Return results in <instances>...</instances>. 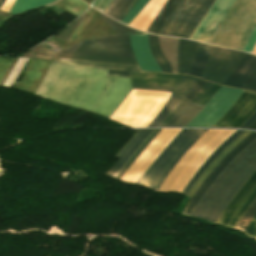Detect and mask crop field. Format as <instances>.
<instances>
[{
  "label": "crop field",
  "mask_w": 256,
  "mask_h": 256,
  "mask_svg": "<svg viewBox=\"0 0 256 256\" xmlns=\"http://www.w3.org/2000/svg\"><path fill=\"white\" fill-rule=\"evenodd\" d=\"M105 72L52 62L35 94L109 118L132 88Z\"/></svg>",
  "instance_id": "1"
},
{
  "label": "crop field",
  "mask_w": 256,
  "mask_h": 256,
  "mask_svg": "<svg viewBox=\"0 0 256 256\" xmlns=\"http://www.w3.org/2000/svg\"><path fill=\"white\" fill-rule=\"evenodd\" d=\"M255 171L256 139L245 147L211 184L191 217L216 224L222 210Z\"/></svg>",
  "instance_id": "2"
},
{
  "label": "crop field",
  "mask_w": 256,
  "mask_h": 256,
  "mask_svg": "<svg viewBox=\"0 0 256 256\" xmlns=\"http://www.w3.org/2000/svg\"><path fill=\"white\" fill-rule=\"evenodd\" d=\"M256 27V0H236L210 44L243 50Z\"/></svg>",
  "instance_id": "3"
},
{
  "label": "crop field",
  "mask_w": 256,
  "mask_h": 256,
  "mask_svg": "<svg viewBox=\"0 0 256 256\" xmlns=\"http://www.w3.org/2000/svg\"><path fill=\"white\" fill-rule=\"evenodd\" d=\"M207 131L182 129L146 170L138 184L157 191L180 158Z\"/></svg>",
  "instance_id": "4"
},
{
  "label": "crop field",
  "mask_w": 256,
  "mask_h": 256,
  "mask_svg": "<svg viewBox=\"0 0 256 256\" xmlns=\"http://www.w3.org/2000/svg\"><path fill=\"white\" fill-rule=\"evenodd\" d=\"M215 0H181L160 35L189 39Z\"/></svg>",
  "instance_id": "5"
},
{
  "label": "crop field",
  "mask_w": 256,
  "mask_h": 256,
  "mask_svg": "<svg viewBox=\"0 0 256 256\" xmlns=\"http://www.w3.org/2000/svg\"><path fill=\"white\" fill-rule=\"evenodd\" d=\"M61 53L111 57H134L130 49L128 35L98 36L86 39Z\"/></svg>",
  "instance_id": "6"
},
{
  "label": "crop field",
  "mask_w": 256,
  "mask_h": 256,
  "mask_svg": "<svg viewBox=\"0 0 256 256\" xmlns=\"http://www.w3.org/2000/svg\"><path fill=\"white\" fill-rule=\"evenodd\" d=\"M242 90L221 87L211 101L187 125L188 127H212L242 94Z\"/></svg>",
  "instance_id": "7"
},
{
  "label": "crop field",
  "mask_w": 256,
  "mask_h": 256,
  "mask_svg": "<svg viewBox=\"0 0 256 256\" xmlns=\"http://www.w3.org/2000/svg\"><path fill=\"white\" fill-rule=\"evenodd\" d=\"M256 198V172L240 188L222 212L218 225L234 229L242 214Z\"/></svg>",
  "instance_id": "8"
},
{
  "label": "crop field",
  "mask_w": 256,
  "mask_h": 256,
  "mask_svg": "<svg viewBox=\"0 0 256 256\" xmlns=\"http://www.w3.org/2000/svg\"><path fill=\"white\" fill-rule=\"evenodd\" d=\"M256 110V94L244 91L213 127L239 128Z\"/></svg>",
  "instance_id": "9"
},
{
  "label": "crop field",
  "mask_w": 256,
  "mask_h": 256,
  "mask_svg": "<svg viewBox=\"0 0 256 256\" xmlns=\"http://www.w3.org/2000/svg\"><path fill=\"white\" fill-rule=\"evenodd\" d=\"M256 138V133L252 132L247 137H245L238 145H236L231 152L223 158L220 163L215 167V169L208 175V177L202 182L198 189L193 194L186 208L182 212L183 215L190 216L195 205L197 204L200 197L209 187V185L214 181V179L221 173V171L228 165V163L252 140Z\"/></svg>",
  "instance_id": "10"
},
{
  "label": "crop field",
  "mask_w": 256,
  "mask_h": 256,
  "mask_svg": "<svg viewBox=\"0 0 256 256\" xmlns=\"http://www.w3.org/2000/svg\"><path fill=\"white\" fill-rule=\"evenodd\" d=\"M155 129H138L129 141L115 155L119 158L116 163L109 169L106 175L116 177L130 157L146 141Z\"/></svg>",
  "instance_id": "11"
},
{
  "label": "crop field",
  "mask_w": 256,
  "mask_h": 256,
  "mask_svg": "<svg viewBox=\"0 0 256 256\" xmlns=\"http://www.w3.org/2000/svg\"><path fill=\"white\" fill-rule=\"evenodd\" d=\"M241 55L242 52L223 48L217 61L211 69L207 80L223 85L230 73L235 68Z\"/></svg>",
  "instance_id": "12"
},
{
  "label": "crop field",
  "mask_w": 256,
  "mask_h": 256,
  "mask_svg": "<svg viewBox=\"0 0 256 256\" xmlns=\"http://www.w3.org/2000/svg\"><path fill=\"white\" fill-rule=\"evenodd\" d=\"M132 50L142 71L161 72L149 50L148 34L129 35Z\"/></svg>",
  "instance_id": "13"
},
{
  "label": "crop field",
  "mask_w": 256,
  "mask_h": 256,
  "mask_svg": "<svg viewBox=\"0 0 256 256\" xmlns=\"http://www.w3.org/2000/svg\"><path fill=\"white\" fill-rule=\"evenodd\" d=\"M206 84L205 81L198 80L185 99L191 101L198 91ZM203 107L189 102L166 126L182 127L185 126Z\"/></svg>",
  "instance_id": "14"
},
{
  "label": "crop field",
  "mask_w": 256,
  "mask_h": 256,
  "mask_svg": "<svg viewBox=\"0 0 256 256\" xmlns=\"http://www.w3.org/2000/svg\"><path fill=\"white\" fill-rule=\"evenodd\" d=\"M256 64V57L243 53L225 86L240 88Z\"/></svg>",
  "instance_id": "15"
},
{
  "label": "crop field",
  "mask_w": 256,
  "mask_h": 256,
  "mask_svg": "<svg viewBox=\"0 0 256 256\" xmlns=\"http://www.w3.org/2000/svg\"><path fill=\"white\" fill-rule=\"evenodd\" d=\"M54 61H58L66 64L78 65V66L108 69L106 75H113V76L128 77V71L139 72L137 66L135 65L103 64V63H93V62H86V61L62 60V59H55Z\"/></svg>",
  "instance_id": "16"
},
{
  "label": "crop field",
  "mask_w": 256,
  "mask_h": 256,
  "mask_svg": "<svg viewBox=\"0 0 256 256\" xmlns=\"http://www.w3.org/2000/svg\"><path fill=\"white\" fill-rule=\"evenodd\" d=\"M166 1L167 0H150L129 26L146 32L150 23L158 14Z\"/></svg>",
  "instance_id": "17"
},
{
  "label": "crop field",
  "mask_w": 256,
  "mask_h": 256,
  "mask_svg": "<svg viewBox=\"0 0 256 256\" xmlns=\"http://www.w3.org/2000/svg\"><path fill=\"white\" fill-rule=\"evenodd\" d=\"M181 76L179 75H162V74H141L130 72L131 83H146L175 86Z\"/></svg>",
  "instance_id": "18"
},
{
  "label": "crop field",
  "mask_w": 256,
  "mask_h": 256,
  "mask_svg": "<svg viewBox=\"0 0 256 256\" xmlns=\"http://www.w3.org/2000/svg\"><path fill=\"white\" fill-rule=\"evenodd\" d=\"M197 44V42L180 39L178 48V74L188 73L190 65L193 61L194 51L196 49Z\"/></svg>",
  "instance_id": "19"
},
{
  "label": "crop field",
  "mask_w": 256,
  "mask_h": 256,
  "mask_svg": "<svg viewBox=\"0 0 256 256\" xmlns=\"http://www.w3.org/2000/svg\"><path fill=\"white\" fill-rule=\"evenodd\" d=\"M244 131H236L233 135H231L217 150H215L211 156L208 158V160L200 167V169L197 171V173L194 175L192 180L189 182V184L186 186V188L183 190L182 194L187 195L191 188L194 186V184L198 181V179L201 177V175L205 172V170L209 167V165L212 163V161L218 157L222 151L229 146L235 139H237Z\"/></svg>",
  "instance_id": "20"
},
{
  "label": "crop field",
  "mask_w": 256,
  "mask_h": 256,
  "mask_svg": "<svg viewBox=\"0 0 256 256\" xmlns=\"http://www.w3.org/2000/svg\"><path fill=\"white\" fill-rule=\"evenodd\" d=\"M214 47L199 43L195 51L194 62L188 74L200 76Z\"/></svg>",
  "instance_id": "21"
},
{
  "label": "crop field",
  "mask_w": 256,
  "mask_h": 256,
  "mask_svg": "<svg viewBox=\"0 0 256 256\" xmlns=\"http://www.w3.org/2000/svg\"><path fill=\"white\" fill-rule=\"evenodd\" d=\"M138 0H113L104 14L118 20L122 18L133 8Z\"/></svg>",
  "instance_id": "22"
},
{
  "label": "crop field",
  "mask_w": 256,
  "mask_h": 256,
  "mask_svg": "<svg viewBox=\"0 0 256 256\" xmlns=\"http://www.w3.org/2000/svg\"><path fill=\"white\" fill-rule=\"evenodd\" d=\"M179 1L180 0H168L147 32L152 34H159L163 25L174 11Z\"/></svg>",
  "instance_id": "23"
},
{
  "label": "crop field",
  "mask_w": 256,
  "mask_h": 256,
  "mask_svg": "<svg viewBox=\"0 0 256 256\" xmlns=\"http://www.w3.org/2000/svg\"><path fill=\"white\" fill-rule=\"evenodd\" d=\"M55 58L86 60V61H94V62H108V63H126V64L137 65L134 58H110V57H93V56H83V55H62V54H57Z\"/></svg>",
  "instance_id": "24"
},
{
  "label": "crop field",
  "mask_w": 256,
  "mask_h": 256,
  "mask_svg": "<svg viewBox=\"0 0 256 256\" xmlns=\"http://www.w3.org/2000/svg\"><path fill=\"white\" fill-rule=\"evenodd\" d=\"M149 43H150L151 53L154 56L155 60L157 61L162 72L172 73L171 67H170L168 61L163 56V54L160 50L157 36L149 34Z\"/></svg>",
  "instance_id": "25"
},
{
  "label": "crop field",
  "mask_w": 256,
  "mask_h": 256,
  "mask_svg": "<svg viewBox=\"0 0 256 256\" xmlns=\"http://www.w3.org/2000/svg\"><path fill=\"white\" fill-rule=\"evenodd\" d=\"M181 100L182 98L170 95L169 99L167 100L161 111L157 114V116L150 122V124L147 127H158Z\"/></svg>",
  "instance_id": "26"
},
{
  "label": "crop field",
  "mask_w": 256,
  "mask_h": 256,
  "mask_svg": "<svg viewBox=\"0 0 256 256\" xmlns=\"http://www.w3.org/2000/svg\"><path fill=\"white\" fill-rule=\"evenodd\" d=\"M54 0H15L14 4L9 10V13H19L37 6L50 3Z\"/></svg>",
  "instance_id": "27"
},
{
  "label": "crop field",
  "mask_w": 256,
  "mask_h": 256,
  "mask_svg": "<svg viewBox=\"0 0 256 256\" xmlns=\"http://www.w3.org/2000/svg\"><path fill=\"white\" fill-rule=\"evenodd\" d=\"M250 132L245 131L236 141H234L228 148L224 150V152L212 163V165L206 170V172L202 175V177L199 179V181L195 184V186L192 188L190 193L188 194L190 197L194 193V191L197 189V187L201 184V182L207 177V175L214 169V167L219 163V161L226 156L229 151L238 143L240 142L246 135H248ZM239 144V143H238ZM237 144V145H238Z\"/></svg>",
  "instance_id": "28"
},
{
  "label": "crop field",
  "mask_w": 256,
  "mask_h": 256,
  "mask_svg": "<svg viewBox=\"0 0 256 256\" xmlns=\"http://www.w3.org/2000/svg\"><path fill=\"white\" fill-rule=\"evenodd\" d=\"M196 81L197 78L184 75L181 81L175 87L172 94L184 98L185 95L189 92V90L194 86Z\"/></svg>",
  "instance_id": "29"
},
{
  "label": "crop field",
  "mask_w": 256,
  "mask_h": 256,
  "mask_svg": "<svg viewBox=\"0 0 256 256\" xmlns=\"http://www.w3.org/2000/svg\"><path fill=\"white\" fill-rule=\"evenodd\" d=\"M54 55H55V52H52V51L47 50L41 46H38V47L34 48L33 50L25 53L22 57L39 58V59L53 61Z\"/></svg>",
  "instance_id": "30"
},
{
  "label": "crop field",
  "mask_w": 256,
  "mask_h": 256,
  "mask_svg": "<svg viewBox=\"0 0 256 256\" xmlns=\"http://www.w3.org/2000/svg\"><path fill=\"white\" fill-rule=\"evenodd\" d=\"M99 14L103 18V20L106 22V24L108 26H110L112 29H114L116 32H118L119 34H141V33H143V32H139L134 29H131L129 27H126V26L104 16L101 13H99Z\"/></svg>",
  "instance_id": "31"
},
{
  "label": "crop field",
  "mask_w": 256,
  "mask_h": 256,
  "mask_svg": "<svg viewBox=\"0 0 256 256\" xmlns=\"http://www.w3.org/2000/svg\"><path fill=\"white\" fill-rule=\"evenodd\" d=\"M256 213V200L251 204V206L247 209L243 217L240 219L239 223L235 227L237 230H241L244 232L247 227L250 219Z\"/></svg>",
  "instance_id": "32"
},
{
  "label": "crop field",
  "mask_w": 256,
  "mask_h": 256,
  "mask_svg": "<svg viewBox=\"0 0 256 256\" xmlns=\"http://www.w3.org/2000/svg\"><path fill=\"white\" fill-rule=\"evenodd\" d=\"M161 129H156L155 132L147 139V141L138 149V151L131 157V159L128 161V163L125 165V167L122 169V171L117 176L118 179H121L123 174L126 172V170L130 167V165L135 161V159L139 156V154L142 152V150L146 147V145L159 133Z\"/></svg>",
  "instance_id": "33"
},
{
  "label": "crop field",
  "mask_w": 256,
  "mask_h": 256,
  "mask_svg": "<svg viewBox=\"0 0 256 256\" xmlns=\"http://www.w3.org/2000/svg\"><path fill=\"white\" fill-rule=\"evenodd\" d=\"M148 1L149 0H139L137 4L134 6V8L122 20V22L129 24L131 20L139 13V11L147 4Z\"/></svg>",
  "instance_id": "34"
},
{
  "label": "crop field",
  "mask_w": 256,
  "mask_h": 256,
  "mask_svg": "<svg viewBox=\"0 0 256 256\" xmlns=\"http://www.w3.org/2000/svg\"><path fill=\"white\" fill-rule=\"evenodd\" d=\"M84 16V15H83ZM83 16H81L79 19H77L74 23H72L68 28H66L64 31H62L60 34L56 36V38H59L61 40L67 41L69 38L70 33L79 25V23L82 21Z\"/></svg>",
  "instance_id": "35"
},
{
  "label": "crop field",
  "mask_w": 256,
  "mask_h": 256,
  "mask_svg": "<svg viewBox=\"0 0 256 256\" xmlns=\"http://www.w3.org/2000/svg\"><path fill=\"white\" fill-rule=\"evenodd\" d=\"M241 88L256 91V66Z\"/></svg>",
  "instance_id": "36"
},
{
  "label": "crop field",
  "mask_w": 256,
  "mask_h": 256,
  "mask_svg": "<svg viewBox=\"0 0 256 256\" xmlns=\"http://www.w3.org/2000/svg\"><path fill=\"white\" fill-rule=\"evenodd\" d=\"M133 89H146V90H163L172 91V87L156 86V85H146V84H131Z\"/></svg>",
  "instance_id": "37"
},
{
  "label": "crop field",
  "mask_w": 256,
  "mask_h": 256,
  "mask_svg": "<svg viewBox=\"0 0 256 256\" xmlns=\"http://www.w3.org/2000/svg\"><path fill=\"white\" fill-rule=\"evenodd\" d=\"M220 50H221V48H218V47L214 48V50L212 52V55H211L207 65H206L202 75H201V78H204V79L206 78V76H207V74H208V72H209L213 62L215 61L217 55L219 54Z\"/></svg>",
  "instance_id": "38"
},
{
  "label": "crop field",
  "mask_w": 256,
  "mask_h": 256,
  "mask_svg": "<svg viewBox=\"0 0 256 256\" xmlns=\"http://www.w3.org/2000/svg\"><path fill=\"white\" fill-rule=\"evenodd\" d=\"M244 234L256 240V214L252 218Z\"/></svg>",
  "instance_id": "39"
},
{
  "label": "crop field",
  "mask_w": 256,
  "mask_h": 256,
  "mask_svg": "<svg viewBox=\"0 0 256 256\" xmlns=\"http://www.w3.org/2000/svg\"><path fill=\"white\" fill-rule=\"evenodd\" d=\"M220 88V86L214 85L209 92L202 98V100L199 102V104L205 106L210 99L213 97V95L216 93V91Z\"/></svg>",
  "instance_id": "40"
},
{
  "label": "crop field",
  "mask_w": 256,
  "mask_h": 256,
  "mask_svg": "<svg viewBox=\"0 0 256 256\" xmlns=\"http://www.w3.org/2000/svg\"><path fill=\"white\" fill-rule=\"evenodd\" d=\"M188 101L182 100L179 105L172 111V113L163 121V123L159 126H165L178 112L179 110L187 103Z\"/></svg>",
  "instance_id": "41"
},
{
  "label": "crop field",
  "mask_w": 256,
  "mask_h": 256,
  "mask_svg": "<svg viewBox=\"0 0 256 256\" xmlns=\"http://www.w3.org/2000/svg\"><path fill=\"white\" fill-rule=\"evenodd\" d=\"M255 43H256V29H255L254 33L252 34V36H251L249 42L247 43V45H246L244 51L251 53V51H252V49H253ZM242 51H243V50H242Z\"/></svg>",
  "instance_id": "42"
},
{
  "label": "crop field",
  "mask_w": 256,
  "mask_h": 256,
  "mask_svg": "<svg viewBox=\"0 0 256 256\" xmlns=\"http://www.w3.org/2000/svg\"><path fill=\"white\" fill-rule=\"evenodd\" d=\"M213 86V84L207 83L204 88L199 92V94L194 98L192 102L198 103L199 100L204 96V94Z\"/></svg>",
  "instance_id": "43"
},
{
  "label": "crop field",
  "mask_w": 256,
  "mask_h": 256,
  "mask_svg": "<svg viewBox=\"0 0 256 256\" xmlns=\"http://www.w3.org/2000/svg\"><path fill=\"white\" fill-rule=\"evenodd\" d=\"M111 1L112 0H101L95 8L103 13L107 6L111 3Z\"/></svg>",
  "instance_id": "44"
},
{
  "label": "crop field",
  "mask_w": 256,
  "mask_h": 256,
  "mask_svg": "<svg viewBox=\"0 0 256 256\" xmlns=\"http://www.w3.org/2000/svg\"><path fill=\"white\" fill-rule=\"evenodd\" d=\"M255 120H256V112L240 128L248 129Z\"/></svg>",
  "instance_id": "45"
},
{
  "label": "crop field",
  "mask_w": 256,
  "mask_h": 256,
  "mask_svg": "<svg viewBox=\"0 0 256 256\" xmlns=\"http://www.w3.org/2000/svg\"><path fill=\"white\" fill-rule=\"evenodd\" d=\"M19 58H15L13 63L11 64L10 68L8 69L6 75L4 76L3 80L1 81L0 85L3 86L4 82L6 81L7 77L9 76L10 72L14 68L15 64L17 63Z\"/></svg>",
  "instance_id": "46"
},
{
  "label": "crop field",
  "mask_w": 256,
  "mask_h": 256,
  "mask_svg": "<svg viewBox=\"0 0 256 256\" xmlns=\"http://www.w3.org/2000/svg\"><path fill=\"white\" fill-rule=\"evenodd\" d=\"M14 15L5 13L0 11V20L6 22L9 18L13 17Z\"/></svg>",
  "instance_id": "47"
},
{
  "label": "crop field",
  "mask_w": 256,
  "mask_h": 256,
  "mask_svg": "<svg viewBox=\"0 0 256 256\" xmlns=\"http://www.w3.org/2000/svg\"><path fill=\"white\" fill-rule=\"evenodd\" d=\"M249 129H255L256 130V121L253 123V125Z\"/></svg>",
  "instance_id": "48"
},
{
  "label": "crop field",
  "mask_w": 256,
  "mask_h": 256,
  "mask_svg": "<svg viewBox=\"0 0 256 256\" xmlns=\"http://www.w3.org/2000/svg\"><path fill=\"white\" fill-rule=\"evenodd\" d=\"M100 0H95L94 4H93V7L96 6V4L99 2Z\"/></svg>",
  "instance_id": "49"
},
{
  "label": "crop field",
  "mask_w": 256,
  "mask_h": 256,
  "mask_svg": "<svg viewBox=\"0 0 256 256\" xmlns=\"http://www.w3.org/2000/svg\"><path fill=\"white\" fill-rule=\"evenodd\" d=\"M86 3H88L90 5V3L92 2V0H84Z\"/></svg>",
  "instance_id": "50"
},
{
  "label": "crop field",
  "mask_w": 256,
  "mask_h": 256,
  "mask_svg": "<svg viewBox=\"0 0 256 256\" xmlns=\"http://www.w3.org/2000/svg\"><path fill=\"white\" fill-rule=\"evenodd\" d=\"M252 54H255V55H256V46H255V48H254Z\"/></svg>",
  "instance_id": "51"
},
{
  "label": "crop field",
  "mask_w": 256,
  "mask_h": 256,
  "mask_svg": "<svg viewBox=\"0 0 256 256\" xmlns=\"http://www.w3.org/2000/svg\"><path fill=\"white\" fill-rule=\"evenodd\" d=\"M4 1H5V0H0V7L2 6V4H3Z\"/></svg>",
  "instance_id": "52"
}]
</instances>
